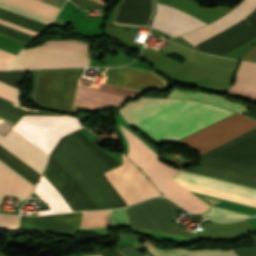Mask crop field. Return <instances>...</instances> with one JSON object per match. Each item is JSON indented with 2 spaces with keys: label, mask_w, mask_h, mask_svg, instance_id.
I'll use <instances>...</instances> for the list:
<instances>
[{
  "label": "crop field",
  "mask_w": 256,
  "mask_h": 256,
  "mask_svg": "<svg viewBox=\"0 0 256 256\" xmlns=\"http://www.w3.org/2000/svg\"><path fill=\"white\" fill-rule=\"evenodd\" d=\"M119 165L78 130L59 141L43 174L74 211L118 208L126 204L102 173ZM44 176L34 192L51 210L39 215L73 211Z\"/></svg>",
  "instance_id": "1"
},
{
  "label": "crop field",
  "mask_w": 256,
  "mask_h": 256,
  "mask_svg": "<svg viewBox=\"0 0 256 256\" xmlns=\"http://www.w3.org/2000/svg\"><path fill=\"white\" fill-rule=\"evenodd\" d=\"M0 159L10 165L12 168L21 173L25 178L36 184L41 174L29 167L27 164L19 160L10 152L0 146Z\"/></svg>",
  "instance_id": "22"
},
{
  "label": "crop field",
  "mask_w": 256,
  "mask_h": 256,
  "mask_svg": "<svg viewBox=\"0 0 256 256\" xmlns=\"http://www.w3.org/2000/svg\"><path fill=\"white\" fill-rule=\"evenodd\" d=\"M229 92L256 99V64L241 62Z\"/></svg>",
  "instance_id": "17"
},
{
  "label": "crop field",
  "mask_w": 256,
  "mask_h": 256,
  "mask_svg": "<svg viewBox=\"0 0 256 256\" xmlns=\"http://www.w3.org/2000/svg\"><path fill=\"white\" fill-rule=\"evenodd\" d=\"M182 170L256 188V129Z\"/></svg>",
  "instance_id": "4"
},
{
  "label": "crop field",
  "mask_w": 256,
  "mask_h": 256,
  "mask_svg": "<svg viewBox=\"0 0 256 256\" xmlns=\"http://www.w3.org/2000/svg\"><path fill=\"white\" fill-rule=\"evenodd\" d=\"M96 256H101V255H96Z\"/></svg>",
  "instance_id": "35"
},
{
  "label": "crop field",
  "mask_w": 256,
  "mask_h": 256,
  "mask_svg": "<svg viewBox=\"0 0 256 256\" xmlns=\"http://www.w3.org/2000/svg\"><path fill=\"white\" fill-rule=\"evenodd\" d=\"M169 97L176 98H191L197 99L205 102L214 103L228 109L244 113L245 107L244 105L236 102L229 101L227 99L220 98L218 96H213L205 93L194 92V91H185V90H177L174 89Z\"/></svg>",
  "instance_id": "19"
},
{
  "label": "crop field",
  "mask_w": 256,
  "mask_h": 256,
  "mask_svg": "<svg viewBox=\"0 0 256 256\" xmlns=\"http://www.w3.org/2000/svg\"><path fill=\"white\" fill-rule=\"evenodd\" d=\"M145 247L155 256H256V245L247 250H233L237 255L232 250H186L189 255L185 250L160 251L149 246Z\"/></svg>",
  "instance_id": "18"
},
{
  "label": "crop field",
  "mask_w": 256,
  "mask_h": 256,
  "mask_svg": "<svg viewBox=\"0 0 256 256\" xmlns=\"http://www.w3.org/2000/svg\"><path fill=\"white\" fill-rule=\"evenodd\" d=\"M15 55L0 50V70L7 69Z\"/></svg>",
  "instance_id": "32"
},
{
  "label": "crop field",
  "mask_w": 256,
  "mask_h": 256,
  "mask_svg": "<svg viewBox=\"0 0 256 256\" xmlns=\"http://www.w3.org/2000/svg\"><path fill=\"white\" fill-rule=\"evenodd\" d=\"M256 63V43L241 58Z\"/></svg>",
  "instance_id": "33"
},
{
  "label": "crop field",
  "mask_w": 256,
  "mask_h": 256,
  "mask_svg": "<svg viewBox=\"0 0 256 256\" xmlns=\"http://www.w3.org/2000/svg\"><path fill=\"white\" fill-rule=\"evenodd\" d=\"M0 7H1V8H4V9H7V10H9V11H12V12L18 13V14H20V15L26 16V17H28V18L34 19V20H36V21L42 22V23L47 24V25H50V23L52 22V20H49V19L44 18V17H41V16H39V15L30 13V12L25 11V10L19 9V8H17V7L11 6V5L6 4V3H3V2H0ZM0 23H2V24H4V25H7V26H10V27H12V28L21 30V31H23V32L29 33V34L34 35V36L39 35L38 33H35V32H33V31L24 29V28H22V27L13 25V24H11V23H8V22L2 21V20H0Z\"/></svg>",
  "instance_id": "23"
},
{
  "label": "crop field",
  "mask_w": 256,
  "mask_h": 256,
  "mask_svg": "<svg viewBox=\"0 0 256 256\" xmlns=\"http://www.w3.org/2000/svg\"><path fill=\"white\" fill-rule=\"evenodd\" d=\"M72 1H74L78 5H81V6H84V7L94 8V9H101V10H105V8H106L105 6L107 5V3L103 2L102 0H92V1L100 3V4L105 5V6H102L100 4L94 3V2L89 1V0H72Z\"/></svg>",
  "instance_id": "30"
},
{
  "label": "crop field",
  "mask_w": 256,
  "mask_h": 256,
  "mask_svg": "<svg viewBox=\"0 0 256 256\" xmlns=\"http://www.w3.org/2000/svg\"><path fill=\"white\" fill-rule=\"evenodd\" d=\"M254 128H256L255 121L241 114H235L178 142L204 154Z\"/></svg>",
  "instance_id": "10"
},
{
  "label": "crop field",
  "mask_w": 256,
  "mask_h": 256,
  "mask_svg": "<svg viewBox=\"0 0 256 256\" xmlns=\"http://www.w3.org/2000/svg\"><path fill=\"white\" fill-rule=\"evenodd\" d=\"M157 5L158 13L152 26L173 36H180L206 24L162 3Z\"/></svg>",
  "instance_id": "13"
},
{
  "label": "crop field",
  "mask_w": 256,
  "mask_h": 256,
  "mask_svg": "<svg viewBox=\"0 0 256 256\" xmlns=\"http://www.w3.org/2000/svg\"><path fill=\"white\" fill-rule=\"evenodd\" d=\"M80 127L83 125L75 116H24L0 136V145L42 173L59 138Z\"/></svg>",
  "instance_id": "3"
},
{
  "label": "crop field",
  "mask_w": 256,
  "mask_h": 256,
  "mask_svg": "<svg viewBox=\"0 0 256 256\" xmlns=\"http://www.w3.org/2000/svg\"><path fill=\"white\" fill-rule=\"evenodd\" d=\"M23 115H61V114L19 106L0 98V117L16 123Z\"/></svg>",
  "instance_id": "20"
},
{
  "label": "crop field",
  "mask_w": 256,
  "mask_h": 256,
  "mask_svg": "<svg viewBox=\"0 0 256 256\" xmlns=\"http://www.w3.org/2000/svg\"><path fill=\"white\" fill-rule=\"evenodd\" d=\"M87 44L80 41L46 42L22 50L11 69L88 66Z\"/></svg>",
  "instance_id": "7"
},
{
  "label": "crop field",
  "mask_w": 256,
  "mask_h": 256,
  "mask_svg": "<svg viewBox=\"0 0 256 256\" xmlns=\"http://www.w3.org/2000/svg\"><path fill=\"white\" fill-rule=\"evenodd\" d=\"M111 227L128 226L125 209L111 210Z\"/></svg>",
  "instance_id": "27"
},
{
  "label": "crop field",
  "mask_w": 256,
  "mask_h": 256,
  "mask_svg": "<svg viewBox=\"0 0 256 256\" xmlns=\"http://www.w3.org/2000/svg\"><path fill=\"white\" fill-rule=\"evenodd\" d=\"M102 256H122L116 249L108 252H102Z\"/></svg>",
  "instance_id": "34"
},
{
  "label": "crop field",
  "mask_w": 256,
  "mask_h": 256,
  "mask_svg": "<svg viewBox=\"0 0 256 256\" xmlns=\"http://www.w3.org/2000/svg\"><path fill=\"white\" fill-rule=\"evenodd\" d=\"M18 90L0 82V97L20 104L18 101Z\"/></svg>",
  "instance_id": "28"
},
{
  "label": "crop field",
  "mask_w": 256,
  "mask_h": 256,
  "mask_svg": "<svg viewBox=\"0 0 256 256\" xmlns=\"http://www.w3.org/2000/svg\"><path fill=\"white\" fill-rule=\"evenodd\" d=\"M123 165L104 173L127 205L161 195L147 177L122 154Z\"/></svg>",
  "instance_id": "11"
},
{
  "label": "crop field",
  "mask_w": 256,
  "mask_h": 256,
  "mask_svg": "<svg viewBox=\"0 0 256 256\" xmlns=\"http://www.w3.org/2000/svg\"><path fill=\"white\" fill-rule=\"evenodd\" d=\"M80 69L40 70L33 101L38 106L71 112Z\"/></svg>",
  "instance_id": "8"
},
{
  "label": "crop field",
  "mask_w": 256,
  "mask_h": 256,
  "mask_svg": "<svg viewBox=\"0 0 256 256\" xmlns=\"http://www.w3.org/2000/svg\"><path fill=\"white\" fill-rule=\"evenodd\" d=\"M125 256H153L148 250L139 254L133 244L118 249Z\"/></svg>",
  "instance_id": "31"
},
{
  "label": "crop field",
  "mask_w": 256,
  "mask_h": 256,
  "mask_svg": "<svg viewBox=\"0 0 256 256\" xmlns=\"http://www.w3.org/2000/svg\"><path fill=\"white\" fill-rule=\"evenodd\" d=\"M101 84L115 89L128 96L144 91L147 87H163L166 82L154 73L131 68H105ZM86 87L78 84L75 103L93 109L117 106L128 97L103 85Z\"/></svg>",
  "instance_id": "5"
},
{
  "label": "crop field",
  "mask_w": 256,
  "mask_h": 256,
  "mask_svg": "<svg viewBox=\"0 0 256 256\" xmlns=\"http://www.w3.org/2000/svg\"><path fill=\"white\" fill-rule=\"evenodd\" d=\"M25 75L26 73L24 71L0 72V81L17 87L18 85L22 84Z\"/></svg>",
  "instance_id": "25"
},
{
  "label": "crop field",
  "mask_w": 256,
  "mask_h": 256,
  "mask_svg": "<svg viewBox=\"0 0 256 256\" xmlns=\"http://www.w3.org/2000/svg\"><path fill=\"white\" fill-rule=\"evenodd\" d=\"M20 216L0 215V228H18Z\"/></svg>",
  "instance_id": "29"
},
{
  "label": "crop field",
  "mask_w": 256,
  "mask_h": 256,
  "mask_svg": "<svg viewBox=\"0 0 256 256\" xmlns=\"http://www.w3.org/2000/svg\"><path fill=\"white\" fill-rule=\"evenodd\" d=\"M14 6L23 8L41 16L54 20L59 8L40 2L38 0H1Z\"/></svg>",
  "instance_id": "21"
},
{
  "label": "crop field",
  "mask_w": 256,
  "mask_h": 256,
  "mask_svg": "<svg viewBox=\"0 0 256 256\" xmlns=\"http://www.w3.org/2000/svg\"><path fill=\"white\" fill-rule=\"evenodd\" d=\"M174 179L250 197L256 199V189L184 172V171H179V173L174 177ZM202 215L214 218L216 220H221V221H231L243 217H247L248 215L244 214H239V213H234L230 211H225L217 208L211 207L208 213H203Z\"/></svg>",
  "instance_id": "12"
},
{
  "label": "crop field",
  "mask_w": 256,
  "mask_h": 256,
  "mask_svg": "<svg viewBox=\"0 0 256 256\" xmlns=\"http://www.w3.org/2000/svg\"><path fill=\"white\" fill-rule=\"evenodd\" d=\"M178 101L180 100L141 97L118 111L130 124ZM184 101L186 100L145 117L135 124ZM232 113L234 112L217 106L188 100L137 124V126L159 142L169 139L179 140Z\"/></svg>",
  "instance_id": "2"
},
{
  "label": "crop field",
  "mask_w": 256,
  "mask_h": 256,
  "mask_svg": "<svg viewBox=\"0 0 256 256\" xmlns=\"http://www.w3.org/2000/svg\"><path fill=\"white\" fill-rule=\"evenodd\" d=\"M34 186L0 161V203L4 195L26 199Z\"/></svg>",
  "instance_id": "16"
},
{
  "label": "crop field",
  "mask_w": 256,
  "mask_h": 256,
  "mask_svg": "<svg viewBox=\"0 0 256 256\" xmlns=\"http://www.w3.org/2000/svg\"><path fill=\"white\" fill-rule=\"evenodd\" d=\"M82 213L59 214L46 217H22L20 228L37 231L77 232Z\"/></svg>",
  "instance_id": "15"
},
{
  "label": "crop field",
  "mask_w": 256,
  "mask_h": 256,
  "mask_svg": "<svg viewBox=\"0 0 256 256\" xmlns=\"http://www.w3.org/2000/svg\"><path fill=\"white\" fill-rule=\"evenodd\" d=\"M0 34L11 37L25 44H27L30 40L34 38V36L16 31L3 25H0Z\"/></svg>",
  "instance_id": "26"
},
{
  "label": "crop field",
  "mask_w": 256,
  "mask_h": 256,
  "mask_svg": "<svg viewBox=\"0 0 256 256\" xmlns=\"http://www.w3.org/2000/svg\"><path fill=\"white\" fill-rule=\"evenodd\" d=\"M178 208L164 198H154L126 208L129 228L191 239L169 219Z\"/></svg>",
  "instance_id": "9"
},
{
  "label": "crop field",
  "mask_w": 256,
  "mask_h": 256,
  "mask_svg": "<svg viewBox=\"0 0 256 256\" xmlns=\"http://www.w3.org/2000/svg\"><path fill=\"white\" fill-rule=\"evenodd\" d=\"M256 8L255 0H244L235 9L228 12L219 20L182 37L196 45L230 27L237 21L249 15Z\"/></svg>",
  "instance_id": "14"
},
{
  "label": "crop field",
  "mask_w": 256,
  "mask_h": 256,
  "mask_svg": "<svg viewBox=\"0 0 256 256\" xmlns=\"http://www.w3.org/2000/svg\"><path fill=\"white\" fill-rule=\"evenodd\" d=\"M108 211L83 213L81 228L107 227Z\"/></svg>",
  "instance_id": "24"
},
{
  "label": "crop field",
  "mask_w": 256,
  "mask_h": 256,
  "mask_svg": "<svg viewBox=\"0 0 256 256\" xmlns=\"http://www.w3.org/2000/svg\"><path fill=\"white\" fill-rule=\"evenodd\" d=\"M121 128L129 145L127 156L145 172L166 197L192 212L203 213L208 210L210 205L171 180L179 170L161 162L149 146L123 126Z\"/></svg>",
  "instance_id": "6"
}]
</instances>
